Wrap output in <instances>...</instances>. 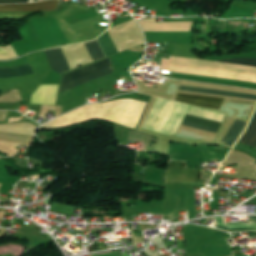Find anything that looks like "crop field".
Returning <instances> with one entry per match:
<instances>
[{
  "instance_id": "8a807250",
  "label": "crop field",
  "mask_w": 256,
  "mask_h": 256,
  "mask_svg": "<svg viewBox=\"0 0 256 256\" xmlns=\"http://www.w3.org/2000/svg\"><path fill=\"white\" fill-rule=\"evenodd\" d=\"M110 65H111L110 59L108 58V59L98 62L96 64L78 69L76 71H73V72H70L67 74H64L62 77L61 84L65 83L67 81L73 80L75 78L81 77L83 75L89 74L91 72L97 71L99 69L105 68ZM112 72H113L112 67L110 66L105 69L99 70L97 72L91 73L89 75L83 76L81 78L75 79L73 81L67 82V83L61 85L59 93L62 91L68 90L70 88L76 87L78 85H81L83 83L89 82L91 80H94L96 78L102 77L104 75L110 74Z\"/></svg>"
},
{
  "instance_id": "ac0d7876",
  "label": "crop field",
  "mask_w": 256,
  "mask_h": 256,
  "mask_svg": "<svg viewBox=\"0 0 256 256\" xmlns=\"http://www.w3.org/2000/svg\"><path fill=\"white\" fill-rule=\"evenodd\" d=\"M179 90L194 91V92H201V93L216 94V95H223V96H231V97H239V98H247V99H255L256 100V95L224 92V91L193 88V87H185V86H181ZM176 97L187 98V99H195V100H203V101H211V102H219V103H222L223 100H224V99H221V98H213V97H205V96H197V95H189V94H181V93H178ZM179 98H175V101L194 104V105H198V106H202V107L216 108V109H219L220 106H221V104H219V103H211V102H203V101H195V100H187V99H179Z\"/></svg>"
},
{
  "instance_id": "34b2d1b8",
  "label": "crop field",
  "mask_w": 256,
  "mask_h": 256,
  "mask_svg": "<svg viewBox=\"0 0 256 256\" xmlns=\"http://www.w3.org/2000/svg\"><path fill=\"white\" fill-rule=\"evenodd\" d=\"M201 174L202 171L186 170L185 162L169 160L165 183H194L204 185L206 180L201 179Z\"/></svg>"
},
{
  "instance_id": "412701ff",
  "label": "crop field",
  "mask_w": 256,
  "mask_h": 256,
  "mask_svg": "<svg viewBox=\"0 0 256 256\" xmlns=\"http://www.w3.org/2000/svg\"><path fill=\"white\" fill-rule=\"evenodd\" d=\"M59 0L35 3L0 5V11H54Z\"/></svg>"
},
{
  "instance_id": "f4fd0767",
  "label": "crop field",
  "mask_w": 256,
  "mask_h": 256,
  "mask_svg": "<svg viewBox=\"0 0 256 256\" xmlns=\"http://www.w3.org/2000/svg\"><path fill=\"white\" fill-rule=\"evenodd\" d=\"M44 52L54 71L61 73L70 70L60 48L50 49Z\"/></svg>"
},
{
  "instance_id": "dd49c442",
  "label": "crop field",
  "mask_w": 256,
  "mask_h": 256,
  "mask_svg": "<svg viewBox=\"0 0 256 256\" xmlns=\"http://www.w3.org/2000/svg\"><path fill=\"white\" fill-rule=\"evenodd\" d=\"M182 124L216 133L221 123L187 115Z\"/></svg>"
},
{
  "instance_id": "e52e79f7",
  "label": "crop field",
  "mask_w": 256,
  "mask_h": 256,
  "mask_svg": "<svg viewBox=\"0 0 256 256\" xmlns=\"http://www.w3.org/2000/svg\"><path fill=\"white\" fill-rule=\"evenodd\" d=\"M33 72L29 63L0 68V77H14Z\"/></svg>"
},
{
  "instance_id": "d8731c3e",
  "label": "crop field",
  "mask_w": 256,
  "mask_h": 256,
  "mask_svg": "<svg viewBox=\"0 0 256 256\" xmlns=\"http://www.w3.org/2000/svg\"><path fill=\"white\" fill-rule=\"evenodd\" d=\"M245 124L246 121L236 119V121L234 122L233 126L225 136L222 143L232 146V144L234 143L235 139L237 138Z\"/></svg>"
},
{
  "instance_id": "5a996713",
  "label": "crop field",
  "mask_w": 256,
  "mask_h": 256,
  "mask_svg": "<svg viewBox=\"0 0 256 256\" xmlns=\"http://www.w3.org/2000/svg\"><path fill=\"white\" fill-rule=\"evenodd\" d=\"M240 143L256 147V116L252 120L246 134L240 140Z\"/></svg>"
},
{
  "instance_id": "3316defc",
  "label": "crop field",
  "mask_w": 256,
  "mask_h": 256,
  "mask_svg": "<svg viewBox=\"0 0 256 256\" xmlns=\"http://www.w3.org/2000/svg\"><path fill=\"white\" fill-rule=\"evenodd\" d=\"M93 62L97 61V60H100L102 58H104V55L97 43V41H91V42H86L84 43Z\"/></svg>"
},
{
  "instance_id": "28ad6ade",
  "label": "crop field",
  "mask_w": 256,
  "mask_h": 256,
  "mask_svg": "<svg viewBox=\"0 0 256 256\" xmlns=\"http://www.w3.org/2000/svg\"><path fill=\"white\" fill-rule=\"evenodd\" d=\"M167 61H168V59L160 58V62L167 63ZM224 63H231V64H239V65H246V66L256 67V60H254V59H246V60L231 61V62H224Z\"/></svg>"
},
{
  "instance_id": "d1516ede",
  "label": "crop field",
  "mask_w": 256,
  "mask_h": 256,
  "mask_svg": "<svg viewBox=\"0 0 256 256\" xmlns=\"http://www.w3.org/2000/svg\"><path fill=\"white\" fill-rule=\"evenodd\" d=\"M28 0H0V3H24Z\"/></svg>"
},
{
  "instance_id": "22f410ed",
  "label": "crop field",
  "mask_w": 256,
  "mask_h": 256,
  "mask_svg": "<svg viewBox=\"0 0 256 256\" xmlns=\"http://www.w3.org/2000/svg\"><path fill=\"white\" fill-rule=\"evenodd\" d=\"M250 222L256 223V216L249 217Z\"/></svg>"
}]
</instances>
